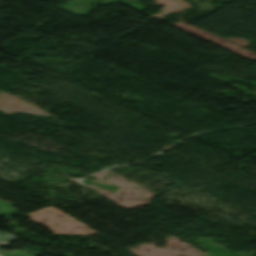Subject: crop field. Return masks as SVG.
I'll list each match as a JSON object with an SVG mask.
<instances>
[{"mask_svg":"<svg viewBox=\"0 0 256 256\" xmlns=\"http://www.w3.org/2000/svg\"><path fill=\"white\" fill-rule=\"evenodd\" d=\"M14 236L8 235L6 233L0 232V240L10 241Z\"/></svg>","mask_w":256,"mask_h":256,"instance_id":"8a807250","label":"crop field"},{"mask_svg":"<svg viewBox=\"0 0 256 256\" xmlns=\"http://www.w3.org/2000/svg\"><path fill=\"white\" fill-rule=\"evenodd\" d=\"M0 243H5V241H0ZM1 256V255H0Z\"/></svg>","mask_w":256,"mask_h":256,"instance_id":"ac0d7876","label":"crop field"}]
</instances>
